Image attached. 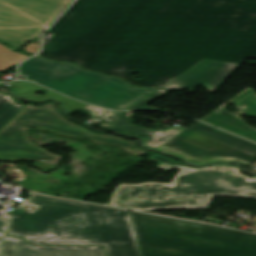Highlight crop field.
Segmentation results:
<instances>
[{"label": "crop field", "mask_w": 256, "mask_h": 256, "mask_svg": "<svg viewBox=\"0 0 256 256\" xmlns=\"http://www.w3.org/2000/svg\"><path fill=\"white\" fill-rule=\"evenodd\" d=\"M46 33L40 57L161 87L204 59L256 57V0H77Z\"/></svg>", "instance_id": "obj_1"}, {"label": "crop field", "mask_w": 256, "mask_h": 256, "mask_svg": "<svg viewBox=\"0 0 256 256\" xmlns=\"http://www.w3.org/2000/svg\"><path fill=\"white\" fill-rule=\"evenodd\" d=\"M149 159L164 171L181 170L171 184H120L109 205L132 210L207 208L212 196L256 198V176L249 179L238 167L216 164L194 169L156 155Z\"/></svg>", "instance_id": "obj_2"}, {"label": "crop field", "mask_w": 256, "mask_h": 256, "mask_svg": "<svg viewBox=\"0 0 256 256\" xmlns=\"http://www.w3.org/2000/svg\"><path fill=\"white\" fill-rule=\"evenodd\" d=\"M142 256H256V235L130 211Z\"/></svg>", "instance_id": "obj_3"}, {"label": "crop field", "mask_w": 256, "mask_h": 256, "mask_svg": "<svg viewBox=\"0 0 256 256\" xmlns=\"http://www.w3.org/2000/svg\"><path fill=\"white\" fill-rule=\"evenodd\" d=\"M29 194L31 198L6 213V234L24 236L31 244L103 245L84 204Z\"/></svg>", "instance_id": "obj_4"}, {"label": "crop field", "mask_w": 256, "mask_h": 256, "mask_svg": "<svg viewBox=\"0 0 256 256\" xmlns=\"http://www.w3.org/2000/svg\"><path fill=\"white\" fill-rule=\"evenodd\" d=\"M53 106L51 103L41 107L26 105L0 130V160L26 159L35 161L34 167L45 172L56 168L61 157L51 154L30 142L26 133V130L30 127H35L41 131L49 130L62 136L84 138L92 143L120 147L132 155L145 153V151L138 148L129 149L136 143L123 140L117 136L97 135L65 120L62 114L53 111Z\"/></svg>", "instance_id": "obj_5"}, {"label": "crop field", "mask_w": 256, "mask_h": 256, "mask_svg": "<svg viewBox=\"0 0 256 256\" xmlns=\"http://www.w3.org/2000/svg\"><path fill=\"white\" fill-rule=\"evenodd\" d=\"M20 77L110 109H127L156 90L137 88L120 78L87 72L66 62L36 57L20 65Z\"/></svg>", "instance_id": "obj_6"}, {"label": "crop field", "mask_w": 256, "mask_h": 256, "mask_svg": "<svg viewBox=\"0 0 256 256\" xmlns=\"http://www.w3.org/2000/svg\"><path fill=\"white\" fill-rule=\"evenodd\" d=\"M157 150L176 155L193 165L212 161L251 164L256 160V144L199 122Z\"/></svg>", "instance_id": "obj_7"}, {"label": "crop field", "mask_w": 256, "mask_h": 256, "mask_svg": "<svg viewBox=\"0 0 256 256\" xmlns=\"http://www.w3.org/2000/svg\"><path fill=\"white\" fill-rule=\"evenodd\" d=\"M73 0H0V40L16 48L39 37Z\"/></svg>", "instance_id": "obj_8"}, {"label": "crop field", "mask_w": 256, "mask_h": 256, "mask_svg": "<svg viewBox=\"0 0 256 256\" xmlns=\"http://www.w3.org/2000/svg\"><path fill=\"white\" fill-rule=\"evenodd\" d=\"M85 205L109 256H141L129 211Z\"/></svg>", "instance_id": "obj_9"}, {"label": "crop field", "mask_w": 256, "mask_h": 256, "mask_svg": "<svg viewBox=\"0 0 256 256\" xmlns=\"http://www.w3.org/2000/svg\"><path fill=\"white\" fill-rule=\"evenodd\" d=\"M237 63L204 60L192 67L163 88L193 92L200 85L213 92L238 66Z\"/></svg>", "instance_id": "obj_10"}, {"label": "crop field", "mask_w": 256, "mask_h": 256, "mask_svg": "<svg viewBox=\"0 0 256 256\" xmlns=\"http://www.w3.org/2000/svg\"><path fill=\"white\" fill-rule=\"evenodd\" d=\"M229 103L235 104L243 115L256 118V95L252 89L248 88L211 112L201 121L211 123L256 142V129L248 126L239 117L221 109Z\"/></svg>", "instance_id": "obj_11"}, {"label": "crop field", "mask_w": 256, "mask_h": 256, "mask_svg": "<svg viewBox=\"0 0 256 256\" xmlns=\"http://www.w3.org/2000/svg\"><path fill=\"white\" fill-rule=\"evenodd\" d=\"M2 256H106L102 247L31 246L23 238L5 236Z\"/></svg>", "instance_id": "obj_12"}, {"label": "crop field", "mask_w": 256, "mask_h": 256, "mask_svg": "<svg viewBox=\"0 0 256 256\" xmlns=\"http://www.w3.org/2000/svg\"><path fill=\"white\" fill-rule=\"evenodd\" d=\"M132 121L130 118L125 124H123L118 130L126 131L129 133L141 135L146 138L143 146L157 149L181 132L186 129L173 127L169 130L158 132L148 128L129 124ZM144 138V139H145Z\"/></svg>", "instance_id": "obj_13"}, {"label": "crop field", "mask_w": 256, "mask_h": 256, "mask_svg": "<svg viewBox=\"0 0 256 256\" xmlns=\"http://www.w3.org/2000/svg\"><path fill=\"white\" fill-rule=\"evenodd\" d=\"M11 83L12 85H16L18 84L19 87V91L18 93L19 94H25V93H30V92H36V91H41V90H44L46 91L45 94L41 97H37V98H34V99H39V98H45V97H49V96H53L55 97L56 99L58 100H62L63 102H65V105L67 107L68 110H77V109H80V108H83L85 107L87 104H83V103H80V102H77V101H73V100H70L66 97H63L59 94H56L52 91H49L47 89H44L40 86H37L33 83H30V82H25V81H14V82H9Z\"/></svg>", "instance_id": "obj_14"}, {"label": "crop field", "mask_w": 256, "mask_h": 256, "mask_svg": "<svg viewBox=\"0 0 256 256\" xmlns=\"http://www.w3.org/2000/svg\"><path fill=\"white\" fill-rule=\"evenodd\" d=\"M17 107V109H15ZM23 107L13 101L11 96L0 93V129L9 122Z\"/></svg>", "instance_id": "obj_15"}, {"label": "crop field", "mask_w": 256, "mask_h": 256, "mask_svg": "<svg viewBox=\"0 0 256 256\" xmlns=\"http://www.w3.org/2000/svg\"><path fill=\"white\" fill-rule=\"evenodd\" d=\"M28 56L14 52L4 45L0 44V71L24 60Z\"/></svg>", "instance_id": "obj_16"}, {"label": "crop field", "mask_w": 256, "mask_h": 256, "mask_svg": "<svg viewBox=\"0 0 256 256\" xmlns=\"http://www.w3.org/2000/svg\"><path fill=\"white\" fill-rule=\"evenodd\" d=\"M129 115L130 112L110 111L100 119L109 121L111 123L109 125L101 123L100 126L107 129H117L130 118Z\"/></svg>", "instance_id": "obj_17"}, {"label": "crop field", "mask_w": 256, "mask_h": 256, "mask_svg": "<svg viewBox=\"0 0 256 256\" xmlns=\"http://www.w3.org/2000/svg\"><path fill=\"white\" fill-rule=\"evenodd\" d=\"M165 92H166V90L158 89V90H156L155 92H153L152 94H150L149 96H147L146 98H144L143 100H141L140 102H138L137 104H135L134 106H132L129 109L158 110V109H155V108L148 107L146 105L149 104L150 102H152L153 100H155L157 97H159L160 95H162Z\"/></svg>", "instance_id": "obj_18"}, {"label": "crop field", "mask_w": 256, "mask_h": 256, "mask_svg": "<svg viewBox=\"0 0 256 256\" xmlns=\"http://www.w3.org/2000/svg\"><path fill=\"white\" fill-rule=\"evenodd\" d=\"M83 109L87 110L89 112V114L94 117H97L107 111V110H104V109H101V108H98L95 106H91V105H88Z\"/></svg>", "instance_id": "obj_19"}, {"label": "crop field", "mask_w": 256, "mask_h": 256, "mask_svg": "<svg viewBox=\"0 0 256 256\" xmlns=\"http://www.w3.org/2000/svg\"><path fill=\"white\" fill-rule=\"evenodd\" d=\"M24 49H25V51L34 54V53L38 52V50L40 49V44L30 43Z\"/></svg>", "instance_id": "obj_20"}, {"label": "crop field", "mask_w": 256, "mask_h": 256, "mask_svg": "<svg viewBox=\"0 0 256 256\" xmlns=\"http://www.w3.org/2000/svg\"><path fill=\"white\" fill-rule=\"evenodd\" d=\"M6 227V222L4 219L0 218V231L4 232Z\"/></svg>", "instance_id": "obj_21"}, {"label": "crop field", "mask_w": 256, "mask_h": 256, "mask_svg": "<svg viewBox=\"0 0 256 256\" xmlns=\"http://www.w3.org/2000/svg\"><path fill=\"white\" fill-rule=\"evenodd\" d=\"M1 234H2V232H0V237H1Z\"/></svg>", "instance_id": "obj_22"}]
</instances>
